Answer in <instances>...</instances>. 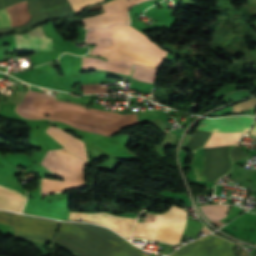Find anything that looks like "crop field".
I'll list each match as a JSON object with an SVG mask.
<instances>
[{
	"mask_svg": "<svg viewBox=\"0 0 256 256\" xmlns=\"http://www.w3.org/2000/svg\"><path fill=\"white\" fill-rule=\"evenodd\" d=\"M86 43H96L90 54L108 59H125L156 68L161 65L167 53L142 33L125 25L90 30Z\"/></svg>",
	"mask_w": 256,
	"mask_h": 256,
	"instance_id": "crop-field-1",
	"label": "crop field"
},
{
	"mask_svg": "<svg viewBox=\"0 0 256 256\" xmlns=\"http://www.w3.org/2000/svg\"><path fill=\"white\" fill-rule=\"evenodd\" d=\"M41 164L63 180H42L41 196L86 186L85 163L65 149L48 151Z\"/></svg>",
	"mask_w": 256,
	"mask_h": 256,
	"instance_id": "crop-field-2",
	"label": "crop field"
},
{
	"mask_svg": "<svg viewBox=\"0 0 256 256\" xmlns=\"http://www.w3.org/2000/svg\"><path fill=\"white\" fill-rule=\"evenodd\" d=\"M186 214L187 211L174 205L162 214L147 213L144 223H136L133 236L175 245L181 239Z\"/></svg>",
	"mask_w": 256,
	"mask_h": 256,
	"instance_id": "crop-field-3",
	"label": "crop field"
},
{
	"mask_svg": "<svg viewBox=\"0 0 256 256\" xmlns=\"http://www.w3.org/2000/svg\"><path fill=\"white\" fill-rule=\"evenodd\" d=\"M193 164L197 178L203 180L204 148L194 151ZM228 171V146L205 148L204 180L216 182Z\"/></svg>",
	"mask_w": 256,
	"mask_h": 256,
	"instance_id": "crop-field-4",
	"label": "crop field"
},
{
	"mask_svg": "<svg viewBox=\"0 0 256 256\" xmlns=\"http://www.w3.org/2000/svg\"><path fill=\"white\" fill-rule=\"evenodd\" d=\"M253 121L254 117H230L215 120L204 119L196 131L247 132ZM208 134L209 132H194L186 148L191 150L196 149Z\"/></svg>",
	"mask_w": 256,
	"mask_h": 256,
	"instance_id": "crop-field-5",
	"label": "crop field"
},
{
	"mask_svg": "<svg viewBox=\"0 0 256 256\" xmlns=\"http://www.w3.org/2000/svg\"><path fill=\"white\" fill-rule=\"evenodd\" d=\"M141 1L143 0H113L102 5L107 13L93 18L82 19L81 21L85 29L106 28L116 23L129 24L127 9Z\"/></svg>",
	"mask_w": 256,
	"mask_h": 256,
	"instance_id": "crop-field-6",
	"label": "crop field"
},
{
	"mask_svg": "<svg viewBox=\"0 0 256 256\" xmlns=\"http://www.w3.org/2000/svg\"><path fill=\"white\" fill-rule=\"evenodd\" d=\"M57 225L58 221L18 214L15 236L48 243Z\"/></svg>",
	"mask_w": 256,
	"mask_h": 256,
	"instance_id": "crop-field-7",
	"label": "crop field"
},
{
	"mask_svg": "<svg viewBox=\"0 0 256 256\" xmlns=\"http://www.w3.org/2000/svg\"><path fill=\"white\" fill-rule=\"evenodd\" d=\"M70 220H80V221H89L102 224L106 227H109L119 234H121L126 239H130L132 228L134 225L135 219L120 218L110 216L106 213L98 214H84V213H73L69 214Z\"/></svg>",
	"mask_w": 256,
	"mask_h": 256,
	"instance_id": "crop-field-8",
	"label": "crop field"
},
{
	"mask_svg": "<svg viewBox=\"0 0 256 256\" xmlns=\"http://www.w3.org/2000/svg\"><path fill=\"white\" fill-rule=\"evenodd\" d=\"M15 40L19 51H51V40L45 38L42 26L27 34H16Z\"/></svg>",
	"mask_w": 256,
	"mask_h": 256,
	"instance_id": "crop-field-9",
	"label": "crop field"
},
{
	"mask_svg": "<svg viewBox=\"0 0 256 256\" xmlns=\"http://www.w3.org/2000/svg\"><path fill=\"white\" fill-rule=\"evenodd\" d=\"M54 139H56L62 146H64L72 154L84 159L86 161V154L84 151V144L76 140L72 136L66 134L63 130L55 127H50L47 129Z\"/></svg>",
	"mask_w": 256,
	"mask_h": 256,
	"instance_id": "crop-field-10",
	"label": "crop field"
},
{
	"mask_svg": "<svg viewBox=\"0 0 256 256\" xmlns=\"http://www.w3.org/2000/svg\"><path fill=\"white\" fill-rule=\"evenodd\" d=\"M25 199L22 194L0 186V209L21 212Z\"/></svg>",
	"mask_w": 256,
	"mask_h": 256,
	"instance_id": "crop-field-11",
	"label": "crop field"
},
{
	"mask_svg": "<svg viewBox=\"0 0 256 256\" xmlns=\"http://www.w3.org/2000/svg\"><path fill=\"white\" fill-rule=\"evenodd\" d=\"M11 18V26H20L28 22L30 13L26 1L14 4L6 8Z\"/></svg>",
	"mask_w": 256,
	"mask_h": 256,
	"instance_id": "crop-field-12",
	"label": "crop field"
},
{
	"mask_svg": "<svg viewBox=\"0 0 256 256\" xmlns=\"http://www.w3.org/2000/svg\"><path fill=\"white\" fill-rule=\"evenodd\" d=\"M204 215L213 223L222 225L218 220L224 218L228 205H207L200 206Z\"/></svg>",
	"mask_w": 256,
	"mask_h": 256,
	"instance_id": "crop-field-13",
	"label": "crop field"
},
{
	"mask_svg": "<svg viewBox=\"0 0 256 256\" xmlns=\"http://www.w3.org/2000/svg\"><path fill=\"white\" fill-rule=\"evenodd\" d=\"M74 11L78 13L82 9L88 7L91 4L103 1V0H68Z\"/></svg>",
	"mask_w": 256,
	"mask_h": 256,
	"instance_id": "crop-field-14",
	"label": "crop field"
},
{
	"mask_svg": "<svg viewBox=\"0 0 256 256\" xmlns=\"http://www.w3.org/2000/svg\"><path fill=\"white\" fill-rule=\"evenodd\" d=\"M57 93H60V92H57ZM63 94H66V93H63ZM63 94H57L56 99H65V100H69V101H73V102L87 104L88 98H89V97H74V96L63 95ZM84 96H90V95H84ZM89 102H90V98H89ZM89 102H88V105H89Z\"/></svg>",
	"mask_w": 256,
	"mask_h": 256,
	"instance_id": "crop-field-15",
	"label": "crop field"
},
{
	"mask_svg": "<svg viewBox=\"0 0 256 256\" xmlns=\"http://www.w3.org/2000/svg\"><path fill=\"white\" fill-rule=\"evenodd\" d=\"M245 150L239 149L234 147L233 150L231 151V157L233 159V161H239V160H243L244 156H245Z\"/></svg>",
	"mask_w": 256,
	"mask_h": 256,
	"instance_id": "crop-field-16",
	"label": "crop field"
},
{
	"mask_svg": "<svg viewBox=\"0 0 256 256\" xmlns=\"http://www.w3.org/2000/svg\"><path fill=\"white\" fill-rule=\"evenodd\" d=\"M10 20L5 9L0 10V27H9Z\"/></svg>",
	"mask_w": 256,
	"mask_h": 256,
	"instance_id": "crop-field-17",
	"label": "crop field"
},
{
	"mask_svg": "<svg viewBox=\"0 0 256 256\" xmlns=\"http://www.w3.org/2000/svg\"><path fill=\"white\" fill-rule=\"evenodd\" d=\"M251 135H255L256 136V126L252 129V131H251V133H250Z\"/></svg>",
	"mask_w": 256,
	"mask_h": 256,
	"instance_id": "crop-field-18",
	"label": "crop field"
}]
</instances>
